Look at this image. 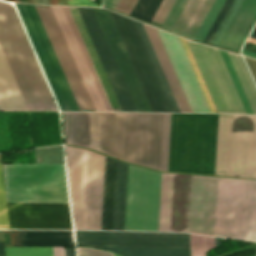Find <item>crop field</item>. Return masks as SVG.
<instances>
[{
	"mask_svg": "<svg viewBox=\"0 0 256 256\" xmlns=\"http://www.w3.org/2000/svg\"><path fill=\"white\" fill-rule=\"evenodd\" d=\"M217 115L171 114L168 170L214 174ZM215 174L256 177V117L218 115Z\"/></svg>",
	"mask_w": 256,
	"mask_h": 256,
	"instance_id": "crop-field-1",
	"label": "crop field"
},
{
	"mask_svg": "<svg viewBox=\"0 0 256 256\" xmlns=\"http://www.w3.org/2000/svg\"><path fill=\"white\" fill-rule=\"evenodd\" d=\"M66 143L160 170L163 114L62 112Z\"/></svg>",
	"mask_w": 256,
	"mask_h": 256,
	"instance_id": "crop-field-2",
	"label": "crop field"
},
{
	"mask_svg": "<svg viewBox=\"0 0 256 256\" xmlns=\"http://www.w3.org/2000/svg\"><path fill=\"white\" fill-rule=\"evenodd\" d=\"M7 202H68L64 164H3ZM10 229H71L68 203H7Z\"/></svg>",
	"mask_w": 256,
	"mask_h": 256,
	"instance_id": "crop-field-3",
	"label": "crop field"
},
{
	"mask_svg": "<svg viewBox=\"0 0 256 256\" xmlns=\"http://www.w3.org/2000/svg\"><path fill=\"white\" fill-rule=\"evenodd\" d=\"M129 165L106 156L101 229L125 230ZM161 172L130 165L126 230L157 231Z\"/></svg>",
	"mask_w": 256,
	"mask_h": 256,
	"instance_id": "crop-field-4",
	"label": "crop field"
},
{
	"mask_svg": "<svg viewBox=\"0 0 256 256\" xmlns=\"http://www.w3.org/2000/svg\"><path fill=\"white\" fill-rule=\"evenodd\" d=\"M0 45L29 110H58L12 5L0 1Z\"/></svg>",
	"mask_w": 256,
	"mask_h": 256,
	"instance_id": "crop-field-5",
	"label": "crop field"
},
{
	"mask_svg": "<svg viewBox=\"0 0 256 256\" xmlns=\"http://www.w3.org/2000/svg\"><path fill=\"white\" fill-rule=\"evenodd\" d=\"M65 149L75 229H100L105 156Z\"/></svg>",
	"mask_w": 256,
	"mask_h": 256,
	"instance_id": "crop-field-6",
	"label": "crop field"
},
{
	"mask_svg": "<svg viewBox=\"0 0 256 256\" xmlns=\"http://www.w3.org/2000/svg\"><path fill=\"white\" fill-rule=\"evenodd\" d=\"M215 235L256 241V180L218 177Z\"/></svg>",
	"mask_w": 256,
	"mask_h": 256,
	"instance_id": "crop-field-7",
	"label": "crop field"
},
{
	"mask_svg": "<svg viewBox=\"0 0 256 256\" xmlns=\"http://www.w3.org/2000/svg\"><path fill=\"white\" fill-rule=\"evenodd\" d=\"M77 245L115 251L124 256H190L189 234L75 231Z\"/></svg>",
	"mask_w": 256,
	"mask_h": 256,
	"instance_id": "crop-field-8",
	"label": "crop field"
},
{
	"mask_svg": "<svg viewBox=\"0 0 256 256\" xmlns=\"http://www.w3.org/2000/svg\"><path fill=\"white\" fill-rule=\"evenodd\" d=\"M61 110H79L33 5L15 4Z\"/></svg>",
	"mask_w": 256,
	"mask_h": 256,
	"instance_id": "crop-field-9",
	"label": "crop field"
},
{
	"mask_svg": "<svg viewBox=\"0 0 256 256\" xmlns=\"http://www.w3.org/2000/svg\"><path fill=\"white\" fill-rule=\"evenodd\" d=\"M111 14L153 110L173 112L135 21L114 12Z\"/></svg>",
	"mask_w": 256,
	"mask_h": 256,
	"instance_id": "crop-field-10",
	"label": "crop field"
},
{
	"mask_svg": "<svg viewBox=\"0 0 256 256\" xmlns=\"http://www.w3.org/2000/svg\"><path fill=\"white\" fill-rule=\"evenodd\" d=\"M187 43L217 111L245 114L218 50L191 41Z\"/></svg>",
	"mask_w": 256,
	"mask_h": 256,
	"instance_id": "crop-field-11",
	"label": "crop field"
},
{
	"mask_svg": "<svg viewBox=\"0 0 256 256\" xmlns=\"http://www.w3.org/2000/svg\"><path fill=\"white\" fill-rule=\"evenodd\" d=\"M217 177L190 175L186 232L214 235Z\"/></svg>",
	"mask_w": 256,
	"mask_h": 256,
	"instance_id": "crop-field-12",
	"label": "crop field"
},
{
	"mask_svg": "<svg viewBox=\"0 0 256 256\" xmlns=\"http://www.w3.org/2000/svg\"><path fill=\"white\" fill-rule=\"evenodd\" d=\"M189 175L162 172L158 231L185 232Z\"/></svg>",
	"mask_w": 256,
	"mask_h": 256,
	"instance_id": "crop-field-13",
	"label": "crop field"
},
{
	"mask_svg": "<svg viewBox=\"0 0 256 256\" xmlns=\"http://www.w3.org/2000/svg\"><path fill=\"white\" fill-rule=\"evenodd\" d=\"M119 106L122 111H137L114 60L102 29L92 8L77 7Z\"/></svg>",
	"mask_w": 256,
	"mask_h": 256,
	"instance_id": "crop-field-14",
	"label": "crop field"
},
{
	"mask_svg": "<svg viewBox=\"0 0 256 256\" xmlns=\"http://www.w3.org/2000/svg\"><path fill=\"white\" fill-rule=\"evenodd\" d=\"M138 111H153L108 10L93 8Z\"/></svg>",
	"mask_w": 256,
	"mask_h": 256,
	"instance_id": "crop-field-15",
	"label": "crop field"
},
{
	"mask_svg": "<svg viewBox=\"0 0 256 256\" xmlns=\"http://www.w3.org/2000/svg\"><path fill=\"white\" fill-rule=\"evenodd\" d=\"M80 109H94L50 7L35 6Z\"/></svg>",
	"mask_w": 256,
	"mask_h": 256,
	"instance_id": "crop-field-16",
	"label": "crop field"
},
{
	"mask_svg": "<svg viewBox=\"0 0 256 256\" xmlns=\"http://www.w3.org/2000/svg\"><path fill=\"white\" fill-rule=\"evenodd\" d=\"M158 31L192 111L211 112L179 38L163 30Z\"/></svg>",
	"mask_w": 256,
	"mask_h": 256,
	"instance_id": "crop-field-17",
	"label": "crop field"
},
{
	"mask_svg": "<svg viewBox=\"0 0 256 256\" xmlns=\"http://www.w3.org/2000/svg\"><path fill=\"white\" fill-rule=\"evenodd\" d=\"M96 110L107 111L61 6H51Z\"/></svg>",
	"mask_w": 256,
	"mask_h": 256,
	"instance_id": "crop-field-18",
	"label": "crop field"
},
{
	"mask_svg": "<svg viewBox=\"0 0 256 256\" xmlns=\"http://www.w3.org/2000/svg\"><path fill=\"white\" fill-rule=\"evenodd\" d=\"M256 21V0H243L218 46L239 51Z\"/></svg>",
	"mask_w": 256,
	"mask_h": 256,
	"instance_id": "crop-field-19",
	"label": "crop field"
},
{
	"mask_svg": "<svg viewBox=\"0 0 256 256\" xmlns=\"http://www.w3.org/2000/svg\"><path fill=\"white\" fill-rule=\"evenodd\" d=\"M144 24V23H143ZM146 31L148 33V36L151 40V43L154 47V50L157 54V57L159 59V62L162 66V69L165 73V76L167 78V81L170 85V88L173 92V95L176 99V102L178 104V107L181 112H192L189 104L186 100V97L184 95V92L181 88V85L178 81V78L175 74V71L173 69V66L170 62V59L167 55V52L164 48V45L162 43V40L159 36V33L155 27L149 26L147 24H144Z\"/></svg>",
	"mask_w": 256,
	"mask_h": 256,
	"instance_id": "crop-field-20",
	"label": "crop field"
},
{
	"mask_svg": "<svg viewBox=\"0 0 256 256\" xmlns=\"http://www.w3.org/2000/svg\"><path fill=\"white\" fill-rule=\"evenodd\" d=\"M0 110H28L0 47Z\"/></svg>",
	"mask_w": 256,
	"mask_h": 256,
	"instance_id": "crop-field-21",
	"label": "crop field"
},
{
	"mask_svg": "<svg viewBox=\"0 0 256 256\" xmlns=\"http://www.w3.org/2000/svg\"><path fill=\"white\" fill-rule=\"evenodd\" d=\"M214 0H189L173 32L193 39Z\"/></svg>",
	"mask_w": 256,
	"mask_h": 256,
	"instance_id": "crop-field-22",
	"label": "crop field"
},
{
	"mask_svg": "<svg viewBox=\"0 0 256 256\" xmlns=\"http://www.w3.org/2000/svg\"><path fill=\"white\" fill-rule=\"evenodd\" d=\"M22 246H74L71 231H21Z\"/></svg>",
	"mask_w": 256,
	"mask_h": 256,
	"instance_id": "crop-field-23",
	"label": "crop field"
},
{
	"mask_svg": "<svg viewBox=\"0 0 256 256\" xmlns=\"http://www.w3.org/2000/svg\"><path fill=\"white\" fill-rule=\"evenodd\" d=\"M69 8H70V10H71V12L73 14V17H74V19L76 21V24H77V26H78V28L80 30V33H81V35L83 37V40H84V42H85V44L87 46V49H88V51L90 53V56H91V58H92V60L94 62V65H95V67L97 69V72H98V74H99V76L101 78V81H102V83L104 85V88H105V90H106V92L108 94V97H109V99L111 101V104H112L114 110L115 111H121L119 106H118V103H117V101L115 99V96H114V94L112 92V89H111V87L109 85V82H108V80L106 78V75H105V73L103 71V68H102V66L100 64V61H99V59L97 57V54H96V52L94 50V47H93V45L91 43V40H90V38L88 36V33H87L86 29H85V26H84V24L82 22V19H81L80 15H79V12H78L77 8L76 7H69Z\"/></svg>",
	"mask_w": 256,
	"mask_h": 256,
	"instance_id": "crop-field-24",
	"label": "crop field"
},
{
	"mask_svg": "<svg viewBox=\"0 0 256 256\" xmlns=\"http://www.w3.org/2000/svg\"><path fill=\"white\" fill-rule=\"evenodd\" d=\"M108 111H114L68 7L62 6Z\"/></svg>",
	"mask_w": 256,
	"mask_h": 256,
	"instance_id": "crop-field-25",
	"label": "crop field"
},
{
	"mask_svg": "<svg viewBox=\"0 0 256 256\" xmlns=\"http://www.w3.org/2000/svg\"><path fill=\"white\" fill-rule=\"evenodd\" d=\"M135 21H136V20H135ZM136 23H137L138 28H139V30H140V33H141V35H142V37H143V40H144V42H145V45H146V47H147V49H148V52H149V54H150V56H151V59H152L153 64H154V66H155V68H156V71H157L158 76H159V78H160V80H161V83H162V85H163V87H164V90H165V92H166V95H167V97H168V99H169V102H170V104H171V107H172V109H173L174 112H180L179 109H178V107H177V104H176V102H175V99H174V97H173V95H172V92H171V90H170V88H169V85H168V83H167V81H166V78H165V76H164V73H163V71H162V69H161V66H160V64H159V62H158V59H157V57H156V54H155V52H154V50H153V47H152V45H151V43H150V40H149V38H148V36H147V33H146V31H145V28H144V26H143V24H142L141 22L136 21Z\"/></svg>",
	"mask_w": 256,
	"mask_h": 256,
	"instance_id": "crop-field-26",
	"label": "crop field"
},
{
	"mask_svg": "<svg viewBox=\"0 0 256 256\" xmlns=\"http://www.w3.org/2000/svg\"><path fill=\"white\" fill-rule=\"evenodd\" d=\"M228 53V52H227ZM231 62L235 68V71L239 77V80L243 86V89L247 95V98L251 104V107L254 111V113L256 114V94L252 85V82L239 58L238 55L236 54H232V53H228Z\"/></svg>",
	"mask_w": 256,
	"mask_h": 256,
	"instance_id": "crop-field-27",
	"label": "crop field"
},
{
	"mask_svg": "<svg viewBox=\"0 0 256 256\" xmlns=\"http://www.w3.org/2000/svg\"><path fill=\"white\" fill-rule=\"evenodd\" d=\"M219 52H220L221 57H222V59L224 61L226 69H227V71L229 73V76H230V78L232 80V83H233V85L235 87V90H236V92L238 94V97L240 99V102H241V104L243 106V109H244L245 113L246 114H254L252 109H251V107H250V104H249V102H248V100L246 98V95H245V93H244V91L242 89V86H241V84H240V82L238 80V77H237V75H236V73L234 71V68H233V66H232V64L230 62V59H229L227 53L225 51H222V50H219Z\"/></svg>",
	"mask_w": 256,
	"mask_h": 256,
	"instance_id": "crop-field-28",
	"label": "crop field"
},
{
	"mask_svg": "<svg viewBox=\"0 0 256 256\" xmlns=\"http://www.w3.org/2000/svg\"><path fill=\"white\" fill-rule=\"evenodd\" d=\"M161 1L162 0H138L130 16L149 23Z\"/></svg>",
	"mask_w": 256,
	"mask_h": 256,
	"instance_id": "crop-field-29",
	"label": "crop field"
},
{
	"mask_svg": "<svg viewBox=\"0 0 256 256\" xmlns=\"http://www.w3.org/2000/svg\"><path fill=\"white\" fill-rule=\"evenodd\" d=\"M36 163H64L62 146L34 149Z\"/></svg>",
	"mask_w": 256,
	"mask_h": 256,
	"instance_id": "crop-field-30",
	"label": "crop field"
},
{
	"mask_svg": "<svg viewBox=\"0 0 256 256\" xmlns=\"http://www.w3.org/2000/svg\"><path fill=\"white\" fill-rule=\"evenodd\" d=\"M6 256H53L52 247H5Z\"/></svg>",
	"mask_w": 256,
	"mask_h": 256,
	"instance_id": "crop-field-31",
	"label": "crop field"
},
{
	"mask_svg": "<svg viewBox=\"0 0 256 256\" xmlns=\"http://www.w3.org/2000/svg\"><path fill=\"white\" fill-rule=\"evenodd\" d=\"M214 248L213 237L191 234L192 256H206V252Z\"/></svg>",
	"mask_w": 256,
	"mask_h": 256,
	"instance_id": "crop-field-32",
	"label": "crop field"
},
{
	"mask_svg": "<svg viewBox=\"0 0 256 256\" xmlns=\"http://www.w3.org/2000/svg\"><path fill=\"white\" fill-rule=\"evenodd\" d=\"M223 2L224 0H215L207 16L205 17L203 23L201 24L198 32L196 33L194 39L202 41L204 35L206 34L208 28L210 27Z\"/></svg>",
	"mask_w": 256,
	"mask_h": 256,
	"instance_id": "crop-field-33",
	"label": "crop field"
},
{
	"mask_svg": "<svg viewBox=\"0 0 256 256\" xmlns=\"http://www.w3.org/2000/svg\"><path fill=\"white\" fill-rule=\"evenodd\" d=\"M170 114H164L161 170H167Z\"/></svg>",
	"mask_w": 256,
	"mask_h": 256,
	"instance_id": "crop-field-34",
	"label": "crop field"
},
{
	"mask_svg": "<svg viewBox=\"0 0 256 256\" xmlns=\"http://www.w3.org/2000/svg\"><path fill=\"white\" fill-rule=\"evenodd\" d=\"M188 0H176L173 5L170 13L168 14L166 20L164 21L162 28L172 30L175 22L177 21L179 15L181 14L184 6L186 5Z\"/></svg>",
	"mask_w": 256,
	"mask_h": 256,
	"instance_id": "crop-field-35",
	"label": "crop field"
},
{
	"mask_svg": "<svg viewBox=\"0 0 256 256\" xmlns=\"http://www.w3.org/2000/svg\"><path fill=\"white\" fill-rule=\"evenodd\" d=\"M0 229H9L1 162H0Z\"/></svg>",
	"mask_w": 256,
	"mask_h": 256,
	"instance_id": "crop-field-36",
	"label": "crop field"
},
{
	"mask_svg": "<svg viewBox=\"0 0 256 256\" xmlns=\"http://www.w3.org/2000/svg\"><path fill=\"white\" fill-rule=\"evenodd\" d=\"M241 0H234L231 7L229 8L226 16L224 17L222 23L220 24L217 32L215 33L212 41L210 42V44H214L216 45L221 37V35L223 34L226 26L228 25L230 19L232 18L235 10L237 9L239 3H240Z\"/></svg>",
	"mask_w": 256,
	"mask_h": 256,
	"instance_id": "crop-field-37",
	"label": "crop field"
},
{
	"mask_svg": "<svg viewBox=\"0 0 256 256\" xmlns=\"http://www.w3.org/2000/svg\"><path fill=\"white\" fill-rule=\"evenodd\" d=\"M233 0H226L220 9L218 15L216 16L214 22L212 23L210 29L208 30L206 36L203 39V42L209 43L211 37L213 36L214 32L216 31L218 25L220 24L222 18L224 17L225 13L227 12L229 6L231 5Z\"/></svg>",
	"mask_w": 256,
	"mask_h": 256,
	"instance_id": "crop-field-38",
	"label": "crop field"
},
{
	"mask_svg": "<svg viewBox=\"0 0 256 256\" xmlns=\"http://www.w3.org/2000/svg\"><path fill=\"white\" fill-rule=\"evenodd\" d=\"M175 0H163L160 7L158 8L156 14L154 15L152 21H155L157 23L162 24L164 18L166 17L167 13L169 12L171 6L173 5ZM151 24H154L156 26H161L160 24H157L155 22H152Z\"/></svg>",
	"mask_w": 256,
	"mask_h": 256,
	"instance_id": "crop-field-39",
	"label": "crop field"
},
{
	"mask_svg": "<svg viewBox=\"0 0 256 256\" xmlns=\"http://www.w3.org/2000/svg\"><path fill=\"white\" fill-rule=\"evenodd\" d=\"M78 256H113L110 252H103L98 249H90L86 247L77 248Z\"/></svg>",
	"mask_w": 256,
	"mask_h": 256,
	"instance_id": "crop-field-40",
	"label": "crop field"
},
{
	"mask_svg": "<svg viewBox=\"0 0 256 256\" xmlns=\"http://www.w3.org/2000/svg\"><path fill=\"white\" fill-rule=\"evenodd\" d=\"M136 1L137 0H119L115 7V10L129 15Z\"/></svg>",
	"mask_w": 256,
	"mask_h": 256,
	"instance_id": "crop-field-41",
	"label": "crop field"
},
{
	"mask_svg": "<svg viewBox=\"0 0 256 256\" xmlns=\"http://www.w3.org/2000/svg\"><path fill=\"white\" fill-rule=\"evenodd\" d=\"M68 5L101 7L89 0H66Z\"/></svg>",
	"mask_w": 256,
	"mask_h": 256,
	"instance_id": "crop-field-42",
	"label": "crop field"
},
{
	"mask_svg": "<svg viewBox=\"0 0 256 256\" xmlns=\"http://www.w3.org/2000/svg\"><path fill=\"white\" fill-rule=\"evenodd\" d=\"M245 58V57H244ZM249 68H250V71L256 81V60H253V59H249V58H245Z\"/></svg>",
	"mask_w": 256,
	"mask_h": 256,
	"instance_id": "crop-field-43",
	"label": "crop field"
},
{
	"mask_svg": "<svg viewBox=\"0 0 256 256\" xmlns=\"http://www.w3.org/2000/svg\"><path fill=\"white\" fill-rule=\"evenodd\" d=\"M54 256H65L64 247H53Z\"/></svg>",
	"mask_w": 256,
	"mask_h": 256,
	"instance_id": "crop-field-44",
	"label": "crop field"
},
{
	"mask_svg": "<svg viewBox=\"0 0 256 256\" xmlns=\"http://www.w3.org/2000/svg\"><path fill=\"white\" fill-rule=\"evenodd\" d=\"M0 256H5L3 231H0Z\"/></svg>",
	"mask_w": 256,
	"mask_h": 256,
	"instance_id": "crop-field-45",
	"label": "crop field"
},
{
	"mask_svg": "<svg viewBox=\"0 0 256 256\" xmlns=\"http://www.w3.org/2000/svg\"><path fill=\"white\" fill-rule=\"evenodd\" d=\"M118 2V0H103L104 5L114 9L116 3Z\"/></svg>",
	"mask_w": 256,
	"mask_h": 256,
	"instance_id": "crop-field-46",
	"label": "crop field"
},
{
	"mask_svg": "<svg viewBox=\"0 0 256 256\" xmlns=\"http://www.w3.org/2000/svg\"><path fill=\"white\" fill-rule=\"evenodd\" d=\"M16 246H21L20 231H14Z\"/></svg>",
	"mask_w": 256,
	"mask_h": 256,
	"instance_id": "crop-field-47",
	"label": "crop field"
},
{
	"mask_svg": "<svg viewBox=\"0 0 256 256\" xmlns=\"http://www.w3.org/2000/svg\"><path fill=\"white\" fill-rule=\"evenodd\" d=\"M244 49L256 52V44L247 42V44L244 46Z\"/></svg>",
	"mask_w": 256,
	"mask_h": 256,
	"instance_id": "crop-field-48",
	"label": "crop field"
},
{
	"mask_svg": "<svg viewBox=\"0 0 256 256\" xmlns=\"http://www.w3.org/2000/svg\"><path fill=\"white\" fill-rule=\"evenodd\" d=\"M242 55H245V56L252 57V58L256 59V53H252V52L243 50Z\"/></svg>",
	"mask_w": 256,
	"mask_h": 256,
	"instance_id": "crop-field-49",
	"label": "crop field"
},
{
	"mask_svg": "<svg viewBox=\"0 0 256 256\" xmlns=\"http://www.w3.org/2000/svg\"><path fill=\"white\" fill-rule=\"evenodd\" d=\"M66 256H74V248H65Z\"/></svg>",
	"mask_w": 256,
	"mask_h": 256,
	"instance_id": "crop-field-50",
	"label": "crop field"
},
{
	"mask_svg": "<svg viewBox=\"0 0 256 256\" xmlns=\"http://www.w3.org/2000/svg\"><path fill=\"white\" fill-rule=\"evenodd\" d=\"M34 3L49 4L47 0H33Z\"/></svg>",
	"mask_w": 256,
	"mask_h": 256,
	"instance_id": "crop-field-51",
	"label": "crop field"
},
{
	"mask_svg": "<svg viewBox=\"0 0 256 256\" xmlns=\"http://www.w3.org/2000/svg\"><path fill=\"white\" fill-rule=\"evenodd\" d=\"M251 38H255V39H256V27H255V29H254L252 35H251Z\"/></svg>",
	"mask_w": 256,
	"mask_h": 256,
	"instance_id": "crop-field-52",
	"label": "crop field"
},
{
	"mask_svg": "<svg viewBox=\"0 0 256 256\" xmlns=\"http://www.w3.org/2000/svg\"><path fill=\"white\" fill-rule=\"evenodd\" d=\"M114 256H118V255H115V254H114Z\"/></svg>",
	"mask_w": 256,
	"mask_h": 256,
	"instance_id": "crop-field-53",
	"label": "crop field"
},
{
	"mask_svg": "<svg viewBox=\"0 0 256 256\" xmlns=\"http://www.w3.org/2000/svg\"><path fill=\"white\" fill-rule=\"evenodd\" d=\"M7 1H10V0H7ZM11 2V1H10Z\"/></svg>",
	"mask_w": 256,
	"mask_h": 256,
	"instance_id": "crop-field-54",
	"label": "crop field"
}]
</instances>
